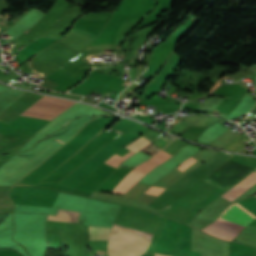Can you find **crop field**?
Here are the masks:
<instances>
[{"mask_svg":"<svg viewBox=\"0 0 256 256\" xmlns=\"http://www.w3.org/2000/svg\"><path fill=\"white\" fill-rule=\"evenodd\" d=\"M163 190H164V189H162V188L152 187V188H150V189H149L148 191H146V192L158 196Z\"/></svg>","mask_w":256,"mask_h":256,"instance_id":"obj_12","label":"crop field"},{"mask_svg":"<svg viewBox=\"0 0 256 256\" xmlns=\"http://www.w3.org/2000/svg\"><path fill=\"white\" fill-rule=\"evenodd\" d=\"M154 166V164L151 163H142L137 168H134L133 171H137L140 173L146 174L148 171H150ZM136 172H129L126 177L120 181L116 187L112 190L114 193H125L128 191L144 174H140Z\"/></svg>","mask_w":256,"mask_h":256,"instance_id":"obj_4","label":"crop field"},{"mask_svg":"<svg viewBox=\"0 0 256 256\" xmlns=\"http://www.w3.org/2000/svg\"><path fill=\"white\" fill-rule=\"evenodd\" d=\"M156 256H162V255H158V254H156Z\"/></svg>","mask_w":256,"mask_h":256,"instance_id":"obj_15","label":"crop field"},{"mask_svg":"<svg viewBox=\"0 0 256 256\" xmlns=\"http://www.w3.org/2000/svg\"><path fill=\"white\" fill-rule=\"evenodd\" d=\"M56 141H58V142H60V143H62V144H63V142H61V141H59V140H57V139H56Z\"/></svg>","mask_w":256,"mask_h":256,"instance_id":"obj_14","label":"crop field"},{"mask_svg":"<svg viewBox=\"0 0 256 256\" xmlns=\"http://www.w3.org/2000/svg\"><path fill=\"white\" fill-rule=\"evenodd\" d=\"M254 184H256V172L252 171L250 174H248L245 178H243L239 183H237L234 187H232L228 192H226L223 195L234 200L242 193H244L246 190H248L250 187H252Z\"/></svg>","mask_w":256,"mask_h":256,"instance_id":"obj_6","label":"crop field"},{"mask_svg":"<svg viewBox=\"0 0 256 256\" xmlns=\"http://www.w3.org/2000/svg\"><path fill=\"white\" fill-rule=\"evenodd\" d=\"M110 235L134 241H139L147 244L151 242V238L153 236V234L151 233L139 231L115 223L112 226ZM121 238L111 236L110 242L108 239L110 256H139L145 251L146 247L148 246L147 244L125 240Z\"/></svg>","mask_w":256,"mask_h":256,"instance_id":"obj_1","label":"crop field"},{"mask_svg":"<svg viewBox=\"0 0 256 256\" xmlns=\"http://www.w3.org/2000/svg\"><path fill=\"white\" fill-rule=\"evenodd\" d=\"M224 212H222L221 215ZM253 220L254 218H252L251 216H249L248 214H246L245 212H243L234 205L229 210H227L222 216H219L215 222L208 225L203 230L211 234L220 236L222 238L232 240L241 231L242 228H244Z\"/></svg>","mask_w":256,"mask_h":256,"instance_id":"obj_2","label":"crop field"},{"mask_svg":"<svg viewBox=\"0 0 256 256\" xmlns=\"http://www.w3.org/2000/svg\"><path fill=\"white\" fill-rule=\"evenodd\" d=\"M236 205H238V204H236ZM243 211H245V212H247V213H249L248 211H246L244 208H242L240 205H238ZM250 214V213H249ZM251 216H253L252 214H250ZM254 217V216H253ZM254 218H256V217H254Z\"/></svg>","mask_w":256,"mask_h":256,"instance_id":"obj_13","label":"crop field"},{"mask_svg":"<svg viewBox=\"0 0 256 256\" xmlns=\"http://www.w3.org/2000/svg\"><path fill=\"white\" fill-rule=\"evenodd\" d=\"M196 162H198V161H196L195 159H193V158H189L187 161H185L183 164H185V165H187V166H192L193 164H195ZM183 164H181L179 167H177V168H179L180 170H185V169H187V168H189V167H187V166H185V165H183Z\"/></svg>","mask_w":256,"mask_h":256,"instance_id":"obj_11","label":"crop field"},{"mask_svg":"<svg viewBox=\"0 0 256 256\" xmlns=\"http://www.w3.org/2000/svg\"><path fill=\"white\" fill-rule=\"evenodd\" d=\"M151 141L145 139L143 136L140 137L139 139H137L136 141L126 145L125 147L134 151V152H138L140 149H142L143 147H145L147 144H149ZM128 152L126 153L124 156L120 157L116 154H114L113 156H111L105 163L117 168V166L123 162L125 159H127L128 157H130L131 155L135 154L134 152Z\"/></svg>","mask_w":256,"mask_h":256,"instance_id":"obj_5","label":"crop field"},{"mask_svg":"<svg viewBox=\"0 0 256 256\" xmlns=\"http://www.w3.org/2000/svg\"><path fill=\"white\" fill-rule=\"evenodd\" d=\"M111 228L96 227L92 240H107Z\"/></svg>","mask_w":256,"mask_h":256,"instance_id":"obj_9","label":"crop field"},{"mask_svg":"<svg viewBox=\"0 0 256 256\" xmlns=\"http://www.w3.org/2000/svg\"><path fill=\"white\" fill-rule=\"evenodd\" d=\"M40 100L41 101H46V102H51V103L67 105V106H71L74 103L73 101L56 99V98H51V97H46V96H43ZM41 101L35 102L28 109L58 115L64 109L68 108L67 106L51 104V103H46V102H41ZM29 110L24 111L20 115L28 116V117L41 118V119H47V120H51L55 117V115L39 113V112H34V111H29Z\"/></svg>","mask_w":256,"mask_h":256,"instance_id":"obj_3","label":"crop field"},{"mask_svg":"<svg viewBox=\"0 0 256 256\" xmlns=\"http://www.w3.org/2000/svg\"><path fill=\"white\" fill-rule=\"evenodd\" d=\"M97 116H94V117H87V118H84L82 119L81 121H79L76 125H74L67 133H65L62 138L68 140L69 138H71L80 128L81 126L87 122L88 120L90 119H93Z\"/></svg>","mask_w":256,"mask_h":256,"instance_id":"obj_8","label":"crop field"},{"mask_svg":"<svg viewBox=\"0 0 256 256\" xmlns=\"http://www.w3.org/2000/svg\"><path fill=\"white\" fill-rule=\"evenodd\" d=\"M170 156V154L161 150L157 155L148 160V162H152L159 165L162 161L166 160Z\"/></svg>","mask_w":256,"mask_h":256,"instance_id":"obj_10","label":"crop field"},{"mask_svg":"<svg viewBox=\"0 0 256 256\" xmlns=\"http://www.w3.org/2000/svg\"><path fill=\"white\" fill-rule=\"evenodd\" d=\"M79 212L67 211L58 209L54 216L48 215L47 220H61V221H69L76 222Z\"/></svg>","mask_w":256,"mask_h":256,"instance_id":"obj_7","label":"crop field"}]
</instances>
